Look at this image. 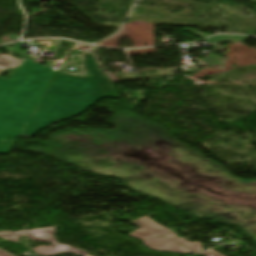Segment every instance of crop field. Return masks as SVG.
Returning <instances> with one entry per match:
<instances>
[{"instance_id":"4","label":"crop field","mask_w":256,"mask_h":256,"mask_svg":"<svg viewBox=\"0 0 256 256\" xmlns=\"http://www.w3.org/2000/svg\"><path fill=\"white\" fill-rule=\"evenodd\" d=\"M54 231L55 227L46 228V229H40V230H34V231H23L18 233H11V234H4L0 232V237L11 240V241H18V238L20 235L28 236L31 238V240H41V241H48L53 242L54 245L51 247H45L40 246L35 249L37 253L43 255V256H54L62 253H75L83 256H87V252L78 250L76 248H73L71 246L62 245L57 243L54 238Z\"/></svg>"},{"instance_id":"7","label":"crop field","mask_w":256,"mask_h":256,"mask_svg":"<svg viewBox=\"0 0 256 256\" xmlns=\"http://www.w3.org/2000/svg\"><path fill=\"white\" fill-rule=\"evenodd\" d=\"M201 254H203L205 256H224V255H222V254H220V253H218V252H216V251H214L212 249H209V250H207V251H205V252H203Z\"/></svg>"},{"instance_id":"8","label":"crop field","mask_w":256,"mask_h":256,"mask_svg":"<svg viewBox=\"0 0 256 256\" xmlns=\"http://www.w3.org/2000/svg\"><path fill=\"white\" fill-rule=\"evenodd\" d=\"M0 256H12V255H10L0 249Z\"/></svg>"},{"instance_id":"3","label":"crop field","mask_w":256,"mask_h":256,"mask_svg":"<svg viewBox=\"0 0 256 256\" xmlns=\"http://www.w3.org/2000/svg\"><path fill=\"white\" fill-rule=\"evenodd\" d=\"M131 222L140 226L141 229L132 232L129 236L142 240L150 249L180 254L193 253L182 246L159 236L173 231L153 222L147 216Z\"/></svg>"},{"instance_id":"5","label":"crop field","mask_w":256,"mask_h":256,"mask_svg":"<svg viewBox=\"0 0 256 256\" xmlns=\"http://www.w3.org/2000/svg\"><path fill=\"white\" fill-rule=\"evenodd\" d=\"M163 237L165 238H168L174 242H177L179 243L180 245L198 253V252H201L203 251L202 249V245L200 242H197V243H191V242H188L186 241L184 238H179L175 232L174 233H171V234H167V235H162Z\"/></svg>"},{"instance_id":"2","label":"crop field","mask_w":256,"mask_h":256,"mask_svg":"<svg viewBox=\"0 0 256 256\" xmlns=\"http://www.w3.org/2000/svg\"><path fill=\"white\" fill-rule=\"evenodd\" d=\"M56 73L26 60L14 77L0 78V153L12 148Z\"/></svg>"},{"instance_id":"1","label":"crop field","mask_w":256,"mask_h":256,"mask_svg":"<svg viewBox=\"0 0 256 256\" xmlns=\"http://www.w3.org/2000/svg\"><path fill=\"white\" fill-rule=\"evenodd\" d=\"M85 57L84 68L88 76L57 73L20 137L31 138L40 129L86 110L103 97L118 98L111 81L100 72L93 55Z\"/></svg>"},{"instance_id":"6","label":"crop field","mask_w":256,"mask_h":256,"mask_svg":"<svg viewBox=\"0 0 256 256\" xmlns=\"http://www.w3.org/2000/svg\"><path fill=\"white\" fill-rule=\"evenodd\" d=\"M14 57L7 55H0V73L3 72L12 62Z\"/></svg>"}]
</instances>
